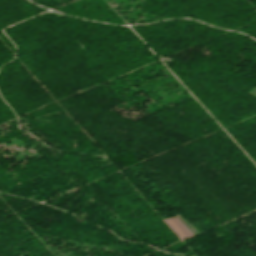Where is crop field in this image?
<instances>
[{
  "mask_svg": "<svg viewBox=\"0 0 256 256\" xmlns=\"http://www.w3.org/2000/svg\"><path fill=\"white\" fill-rule=\"evenodd\" d=\"M163 221L176 234V236L180 240L194 236V233L181 221H179L175 216Z\"/></svg>",
  "mask_w": 256,
  "mask_h": 256,
  "instance_id": "1",
  "label": "crop field"
}]
</instances>
